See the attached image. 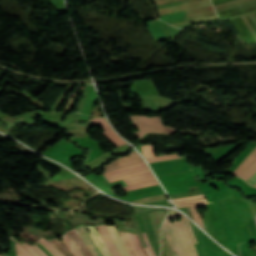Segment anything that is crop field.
<instances>
[{"label": "crop field", "instance_id": "dafd665d", "mask_svg": "<svg viewBox=\"0 0 256 256\" xmlns=\"http://www.w3.org/2000/svg\"><path fill=\"white\" fill-rule=\"evenodd\" d=\"M18 253L16 256H32L27 250L23 249L19 245L16 244V250Z\"/></svg>", "mask_w": 256, "mask_h": 256}, {"label": "crop field", "instance_id": "5a996713", "mask_svg": "<svg viewBox=\"0 0 256 256\" xmlns=\"http://www.w3.org/2000/svg\"><path fill=\"white\" fill-rule=\"evenodd\" d=\"M67 233L71 237V239L74 241V243L77 245V247L79 248L83 256H93L87 249L83 239L81 238L76 228L71 231H68Z\"/></svg>", "mask_w": 256, "mask_h": 256}, {"label": "crop field", "instance_id": "3316defc", "mask_svg": "<svg viewBox=\"0 0 256 256\" xmlns=\"http://www.w3.org/2000/svg\"><path fill=\"white\" fill-rule=\"evenodd\" d=\"M111 235H112V238H113V241L117 247V249L119 250V252L121 253L122 256H130L129 253L127 252L126 248L124 247L120 237H119V234H118V231L116 229V226L115 225H111V226H107Z\"/></svg>", "mask_w": 256, "mask_h": 256}, {"label": "crop field", "instance_id": "d9b57169", "mask_svg": "<svg viewBox=\"0 0 256 256\" xmlns=\"http://www.w3.org/2000/svg\"><path fill=\"white\" fill-rule=\"evenodd\" d=\"M156 185H159L157 180H153V181H147V182H143V183H140L137 185L125 187L124 190L129 191V190H135V189L145 188V187H149V186H156Z\"/></svg>", "mask_w": 256, "mask_h": 256}, {"label": "crop field", "instance_id": "730fd06b", "mask_svg": "<svg viewBox=\"0 0 256 256\" xmlns=\"http://www.w3.org/2000/svg\"><path fill=\"white\" fill-rule=\"evenodd\" d=\"M247 183L256 187V173L247 181Z\"/></svg>", "mask_w": 256, "mask_h": 256}, {"label": "crop field", "instance_id": "ac0d7876", "mask_svg": "<svg viewBox=\"0 0 256 256\" xmlns=\"http://www.w3.org/2000/svg\"><path fill=\"white\" fill-rule=\"evenodd\" d=\"M130 118L134 127L139 130L134 132L137 138H142L147 132L170 134L177 131V129L162 126L159 117L130 116Z\"/></svg>", "mask_w": 256, "mask_h": 256}, {"label": "crop field", "instance_id": "4177f3b9", "mask_svg": "<svg viewBox=\"0 0 256 256\" xmlns=\"http://www.w3.org/2000/svg\"><path fill=\"white\" fill-rule=\"evenodd\" d=\"M148 176H152V173L134 176V177H131V178H128V179H124V181L127 182V181H131V180H135V179H139V178H144V177H148Z\"/></svg>", "mask_w": 256, "mask_h": 256}, {"label": "crop field", "instance_id": "412701ff", "mask_svg": "<svg viewBox=\"0 0 256 256\" xmlns=\"http://www.w3.org/2000/svg\"><path fill=\"white\" fill-rule=\"evenodd\" d=\"M91 121L93 125H101L105 131V132H102V134L115 145L120 146V145L126 144L125 141H123L119 136L115 134V132L109 126L105 118H94V119H91Z\"/></svg>", "mask_w": 256, "mask_h": 256}, {"label": "crop field", "instance_id": "5142ce71", "mask_svg": "<svg viewBox=\"0 0 256 256\" xmlns=\"http://www.w3.org/2000/svg\"><path fill=\"white\" fill-rule=\"evenodd\" d=\"M54 256H63L59 250L44 237L39 240Z\"/></svg>", "mask_w": 256, "mask_h": 256}, {"label": "crop field", "instance_id": "cbeb9de0", "mask_svg": "<svg viewBox=\"0 0 256 256\" xmlns=\"http://www.w3.org/2000/svg\"><path fill=\"white\" fill-rule=\"evenodd\" d=\"M64 256H73L72 253L68 250V248L64 245V243L59 239L50 240Z\"/></svg>", "mask_w": 256, "mask_h": 256}, {"label": "crop field", "instance_id": "f4fd0767", "mask_svg": "<svg viewBox=\"0 0 256 256\" xmlns=\"http://www.w3.org/2000/svg\"><path fill=\"white\" fill-rule=\"evenodd\" d=\"M143 160L139 157L136 152H132L131 154L127 155L126 157H120L116 159L114 162H111L109 165L105 166V171L113 170L116 168L128 166L131 164H135L138 162H142Z\"/></svg>", "mask_w": 256, "mask_h": 256}, {"label": "crop field", "instance_id": "28ad6ade", "mask_svg": "<svg viewBox=\"0 0 256 256\" xmlns=\"http://www.w3.org/2000/svg\"><path fill=\"white\" fill-rule=\"evenodd\" d=\"M87 228L89 229L93 240L95 241L96 245L101 250V252L104 254V256H111L108 249L106 248L101 236L99 235L96 227L87 226Z\"/></svg>", "mask_w": 256, "mask_h": 256}, {"label": "crop field", "instance_id": "a9b5d70f", "mask_svg": "<svg viewBox=\"0 0 256 256\" xmlns=\"http://www.w3.org/2000/svg\"><path fill=\"white\" fill-rule=\"evenodd\" d=\"M203 197H205L204 194L197 195V196H190V197H186V198H177V199H173V200H174V202H177V201H181V200L197 199V198H203Z\"/></svg>", "mask_w": 256, "mask_h": 256}, {"label": "crop field", "instance_id": "733c2abd", "mask_svg": "<svg viewBox=\"0 0 256 256\" xmlns=\"http://www.w3.org/2000/svg\"><path fill=\"white\" fill-rule=\"evenodd\" d=\"M256 171V160L239 176L247 180Z\"/></svg>", "mask_w": 256, "mask_h": 256}, {"label": "crop field", "instance_id": "dd49c442", "mask_svg": "<svg viewBox=\"0 0 256 256\" xmlns=\"http://www.w3.org/2000/svg\"><path fill=\"white\" fill-rule=\"evenodd\" d=\"M147 168H148V166L145 164V162H143V163L131 165V166H128V167L116 169V170L106 172V173H103V174L106 176L107 180H109V179H112V178H115V177H118V176H122V175H125V174H128V173L140 171V170L147 169Z\"/></svg>", "mask_w": 256, "mask_h": 256}, {"label": "crop field", "instance_id": "750c4746", "mask_svg": "<svg viewBox=\"0 0 256 256\" xmlns=\"http://www.w3.org/2000/svg\"><path fill=\"white\" fill-rule=\"evenodd\" d=\"M34 247H36L43 256H48L39 246L35 245Z\"/></svg>", "mask_w": 256, "mask_h": 256}, {"label": "crop field", "instance_id": "8a807250", "mask_svg": "<svg viewBox=\"0 0 256 256\" xmlns=\"http://www.w3.org/2000/svg\"><path fill=\"white\" fill-rule=\"evenodd\" d=\"M172 212L173 214H170V210L168 209V214L163 224L162 232L174 256H198L184 222V220H186L194 243L197 244L198 242L193 233L189 220L177 211L172 210ZM179 216L182 219L177 222L175 218ZM172 218L175 223H170L169 220Z\"/></svg>", "mask_w": 256, "mask_h": 256}, {"label": "crop field", "instance_id": "bd1437ed", "mask_svg": "<svg viewBox=\"0 0 256 256\" xmlns=\"http://www.w3.org/2000/svg\"><path fill=\"white\" fill-rule=\"evenodd\" d=\"M174 158H180V157H172V158L158 159V160L150 161V162H148V163L158 162V161L167 160V159H174Z\"/></svg>", "mask_w": 256, "mask_h": 256}, {"label": "crop field", "instance_id": "e52e79f7", "mask_svg": "<svg viewBox=\"0 0 256 256\" xmlns=\"http://www.w3.org/2000/svg\"><path fill=\"white\" fill-rule=\"evenodd\" d=\"M97 229L99 230L103 240L105 241L106 245L112 243V238L107 230L106 224L104 225H98L96 226ZM110 253L112 254V256H121L120 253L118 252V250L116 249V247L114 246V244H110L107 245Z\"/></svg>", "mask_w": 256, "mask_h": 256}, {"label": "crop field", "instance_id": "214f88e0", "mask_svg": "<svg viewBox=\"0 0 256 256\" xmlns=\"http://www.w3.org/2000/svg\"><path fill=\"white\" fill-rule=\"evenodd\" d=\"M197 206H193V207H190L191 208V212H192V215H193V219L196 223H198L202 228L205 229L204 225H203V221L201 219V216L200 214H198L197 212V209H196Z\"/></svg>", "mask_w": 256, "mask_h": 256}, {"label": "crop field", "instance_id": "d1516ede", "mask_svg": "<svg viewBox=\"0 0 256 256\" xmlns=\"http://www.w3.org/2000/svg\"><path fill=\"white\" fill-rule=\"evenodd\" d=\"M256 159V148L251 154L242 162V164L232 173L238 176L244 169H246Z\"/></svg>", "mask_w": 256, "mask_h": 256}, {"label": "crop field", "instance_id": "4a817a6b", "mask_svg": "<svg viewBox=\"0 0 256 256\" xmlns=\"http://www.w3.org/2000/svg\"><path fill=\"white\" fill-rule=\"evenodd\" d=\"M10 239H12L13 241H15L16 243H18L20 246L24 247L25 249H27L30 253H32L34 256H42L37 249H35L32 245L28 246L27 244H23L21 243L19 240H17L14 236L11 237ZM32 255V256H33Z\"/></svg>", "mask_w": 256, "mask_h": 256}, {"label": "crop field", "instance_id": "92a150f3", "mask_svg": "<svg viewBox=\"0 0 256 256\" xmlns=\"http://www.w3.org/2000/svg\"><path fill=\"white\" fill-rule=\"evenodd\" d=\"M141 147H142L143 155L145 158L155 156V151H154V148L152 145L151 146H141Z\"/></svg>", "mask_w": 256, "mask_h": 256}, {"label": "crop field", "instance_id": "120bbe31", "mask_svg": "<svg viewBox=\"0 0 256 256\" xmlns=\"http://www.w3.org/2000/svg\"><path fill=\"white\" fill-rule=\"evenodd\" d=\"M0 256H8L6 253H4V254H2V255H0Z\"/></svg>", "mask_w": 256, "mask_h": 256}, {"label": "crop field", "instance_id": "eef30255", "mask_svg": "<svg viewBox=\"0 0 256 256\" xmlns=\"http://www.w3.org/2000/svg\"><path fill=\"white\" fill-rule=\"evenodd\" d=\"M155 179L154 177H150V178H144V179H140V180H136V181H132V182H128L127 185H130V184H136V183H140L142 181H147V180H153Z\"/></svg>", "mask_w": 256, "mask_h": 256}, {"label": "crop field", "instance_id": "1d83c4d3", "mask_svg": "<svg viewBox=\"0 0 256 256\" xmlns=\"http://www.w3.org/2000/svg\"><path fill=\"white\" fill-rule=\"evenodd\" d=\"M145 249H146V252H147L148 256H151V254H150L148 248L146 247Z\"/></svg>", "mask_w": 256, "mask_h": 256}, {"label": "crop field", "instance_id": "00972430", "mask_svg": "<svg viewBox=\"0 0 256 256\" xmlns=\"http://www.w3.org/2000/svg\"><path fill=\"white\" fill-rule=\"evenodd\" d=\"M148 172H151L150 169L140 171V172H136V173H133V174H129V175H126V176H122V177H119V178H115V179L109 180V182L112 183V182L117 181V180L122 179V178H126V177L137 175V174H142V173H148Z\"/></svg>", "mask_w": 256, "mask_h": 256}, {"label": "crop field", "instance_id": "34b2d1b8", "mask_svg": "<svg viewBox=\"0 0 256 256\" xmlns=\"http://www.w3.org/2000/svg\"><path fill=\"white\" fill-rule=\"evenodd\" d=\"M131 256H147L137 234L119 232Z\"/></svg>", "mask_w": 256, "mask_h": 256}, {"label": "crop field", "instance_id": "22f410ed", "mask_svg": "<svg viewBox=\"0 0 256 256\" xmlns=\"http://www.w3.org/2000/svg\"><path fill=\"white\" fill-rule=\"evenodd\" d=\"M65 245L70 249V251L74 254V256H82L78 248L72 242L67 233L61 238Z\"/></svg>", "mask_w": 256, "mask_h": 256}, {"label": "crop field", "instance_id": "d8731c3e", "mask_svg": "<svg viewBox=\"0 0 256 256\" xmlns=\"http://www.w3.org/2000/svg\"><path fill=\"white\" fill-rule=\"evenodd\" d=\"M81 236L83 237L88 249L91 251V253L94 256H102L101 252L99 251V249L97 248V246L94 244L92 238L90 237V235L88 234L86 228L84 227V225L77 227Z\"/></svg>", "mask_w": 256, "mask_h": 256}, {"label": "crop field", "instance_id": "bc2a9ffb", "mask_svg": "<svg viewBox=\"0 0 256 256\" xmlns=\"http://www.w3.org/2000/svg\"><path fill=\"white\" fill-rule=\"evenodd\" d=\"M201 204H207L206 199L192 200V201L176 203V205L178 207H185V206H192V205H201Z\"/></svg>", "mask_w": 256, "mask_h": 256}, {"label": "crop field", "instance_id": "ae1a2a85", "mask_svg": "<svg viewBox=\"0 0 256 256\" xmlns=\"http://www.w3.org/2000/svg\"><path fill=\"white\" fill-rule=\"evenodd\" d=\"M142 235H143V237H144V239H145V241H146V243H147V245H148V248H149V250H150L152 256H156L155 253H154V251L152 250V248H151V246H150L148 240H147L146 233H143Z\"/></svg>", "mask_w": 256, "mask_h": 256}, {"label": "crop field", "instance_id": "d32e631a", "mask_svg": "<svg viewBox=\"0 0 256 256\" xmlns=\"http://www.w3.org/2000/svg\"><path fill=\"white\" fill-rule=\"evenodd\" d=\"M161 256H164L163 252H162V255Z\"/></svg>", "mask_w": 256, "mask_h": 256}, {"label": "crop field", "instance_id": "d3111659", "mask_svg": "<svg viewBox=\"0 0 256 256\" xmlns=\"http://www.w3.org/2000/svg\"><path fill=\"white\" fill-rule=\"evenodd\" d=\"M171 156H177V155H176V154H171V155H165V156H162V157L148 158V159H146V160L149 161V160H153V159L164 158V157H171Z\"/></svg>", "mask_w": 256, "mask_h": 256}]
</instances>
